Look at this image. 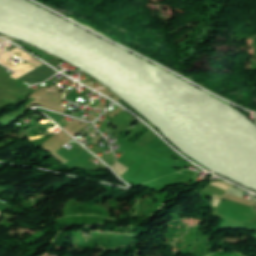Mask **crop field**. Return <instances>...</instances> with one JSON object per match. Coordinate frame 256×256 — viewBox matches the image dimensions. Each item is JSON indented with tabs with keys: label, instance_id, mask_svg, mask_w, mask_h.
Masks as SVG:
<instances>
[{
	"label": "crop field",
	"instance_id": "8a807250",
	"mask_svg": "<svg viewBox=\"0 0 256 256\" xmlns=\"http://www.w3.org/2000/svg\"><path fill=\"white\" fill-rule=\"evenodd\" d=\"M55 73H57V72L53 71L52 69H50L49 67L44 65V66L40 67L39 69H37L36 71L27 75L26 77L22 78L20 81L25 82L30 85H33L35 83H38V82L48 79Z\"/></svg>",
	"mask_w": 256,
	"mask_h": 256
}]
</instances>
